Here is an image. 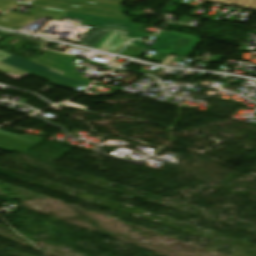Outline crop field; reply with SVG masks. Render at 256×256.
Here are the masks:
<instances>
[{
  "label": "crop field",
  "mask_w": 256,
  "mask_h": 256,
  "mask_svg": "<svg viewBox=\"0 0 256 256\" xmlns=\"http://www.w3.org/2000/svg\"><path fill=\"white\" fill-rule=\"evenodd\" d=\"M108 30L96 28L91 32L79 45L87 46L93 48L96 43L105 35Z\"/></svg>",
  "instance_id": "9"
},
{
  "label": "crop field",
  "mask_w": 256,
  "mask_h": 256,
  "mask_svg": "<svg viewBox=\"0 0 256 256\" xmlns=\"http://www.w3.org/2000/svg\"><path fill=\"white\" fill-rule=\"evenodd\" d=\"M65 16L86 20L83 23L84 25L128 32L127 35L124 37L126 39L144 38L152 35V34L138 32L142 26L130 23L129 21L85 16V15H78V14H70V13H66Z\"/></svg>",
  "instance_id": "4"
},
{
  "label": "crop field",
  "mask_w": 256,
  "mask_h": 256,
  "mask_svg": "<svg viewBox=\"0 0 256 256\" xmlns=\"http://www.w3.org/2000/svg\"><path fill=\"white\" fill-rule=\"evenodd\" d=\"M1 12H3V11H1Z\"/></svg>",
  "instance_id": "12"
},
{
  "label": "crop field",
  "mask_w": 256,
  "mask_h": 256,
  "mask_svg": "<svg viewBox=\"0 0 256 256\" xmlns=\"http://www.w3.org/2000/svg\"><path fill=\"white\" fill-rule=\"evenodd\" d=\"M0 72L19 80L29 74L50 80L63 88H76L80 85L87 87L89 83L61 76L63 72L29 62L8 53L0 51Z\"/></svg>",
  "instance_id": "1"
},
{
  "label": "crop field",
  "mask_w": 256,
  "mask_h": 256,
  "mask_svg": "<svg viewBox=\"0 0 256 256\" xmlns=\"http://www.w3.org/2000/svg\"><path fill=\"white\" fill-rule=\"evenodd\" d=\"M44 140L31 135H17L0 130V150L2 151L11 152L15 150L25 153Z\"/></svg>",
  "instance_id": "6"
},
{
  "label": "crop field",
  "mask_w": 256,
  "mask_h": 256,
  "mask_svg": "<svg viewBox=\"0 0 256 256\" xmlns=\"http://www.w3.org/2000/svg\"><path fill=\"white\" fill-rule=\"evenodd\" d=\"M124 0H34L25 6L126 20L119 6Z\"/></svg>",
  "instance_id": "2"
},
{
  "label": "crop field",
  "mask_w": 256,
  "mask_h": 256,
  "mask_svg": "<svg viewBox=\"0 0 256 256\" xmlns=\"http://www.w3.org/2000/svg\"><path fill=\"white\" fill-rule=\"evenodd\" d=\"M28 14L40 16V17H43V18L61 20L65 13L33 8Z\"/></svg>",
  "instance_id": "10"
},
{
  "label": "crop field",
  "mask_w": 256,
  "mask_h": 256,
  "mask_svg": "<svg viewBox=\"0 0 256 256\" xmlns=\"http://www.w3.org/2000/svg\"><path fill=\"white\" fill-rule=\"evenodd\" d=\"M79 62L80 60H77L75 58L49 51L46 55H44L41 59H39L35 63H39L42 65L63 71L65 72L63 74L64 76H68V77L75 78V79L82 80L89 83L93 82V80L86 79L81 75L73 72L78 68V66L76 65Z\"/></svg>",
  "instance_id": "5"
},
{
  "label": "crop field",
  "mask_w": 256,
  "mask_h": 256,
  "mask_svg": "<svg viewBox=\"0 0 256 256\" xmlns=\"http://www.w3.org/2000/svg\"><path fill=\"white\" fill-rule=\"evenodd\" d=\"M125 35L124 32L109 30L94 48L103 50L107 47L109 48L107 52L113 53L118 47L122 48L129 41L122 39Z\"/></svg>",
  "instance_id": "7"
},
{
  "label": "crop field",
  "mask_w": 256,
  "mask_h": 256,
  "mask_svg": "<svg viewBox=\"0 0 256 256\" xmlns=\"http://www.w3.org/2000/svg\"><path fill=\"white\" fill-rule=\"evenodd\" d=\"M33 18H35V16L20 15V14L8 12L4 14L2 18H0V26L12 28L14 26H20L30 21Z\"/></svg>",
  "instance_id": "8"
},
{
  "label": "crop field",
  "mask_w": 256,
  "mask_h": 256,
  "mask_svg": "<svg viewBox=\"0 0 256 256\" xmlns=\"http://www.w3.org/2000/svg\"><path fill=\"white\" fill-rule=\"evenodd\" d=\"M156 39L158 42L153 47L146 46L141 41H132L129 44L187 57L201 41L195 36L167 32L163 30Z\"/></svg>",
  "instance_id": "3"
},
{
  "label": "crop field",
  "mask_w": 256,
  "mask_h": 256,
  "mask_svg": "<svg viewBox=\"0 0 256 256\" xmlns=\"http://www.w3.org/2000/svg\"><path fill=\"white\" fill-rule=\"evenodd\" d=\"M214 1H219L231 5H236L252 10H256V0H214Z\"/></svg>",
  "instance_id": "11"
}]
</instances>
